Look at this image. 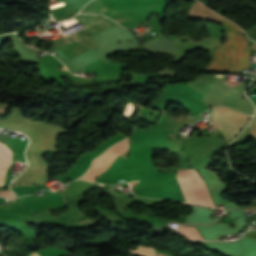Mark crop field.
Instances as JSON below:
<instances>
[{
    "label": "crop field",
    "mask_w": 256,
    "mask_h": 256,
    "mask_svg": "<svg viewBox=\"0 0 256 256\" xmlns=\"http://www.w3.org/2000/svg\"><path fill=\"white\" fill-rule=\"evenodd\" d=\"M250 50L245 37L229 30L227 41L213 52V61L206 71L234 72L246 68Z\"/></svg>",
    "instance_id": "crop-field-1"
},
{
    "label": "crop field",
    "mask_w": 256,
    "mask_h": 256,
    "mask_svg": "<svg viewBox=\"0 0 256 256\" xmlns=\"http://www.w3.org/2000/svg\"><path fill=\"white\" fill-rule=\"evenodd\" d=\"M248 119L244 114L218 107L213 114V125L226 134V139H232Z\"/></svg>",
    "instance_id": "crop-field-2"
},
{
    "label": "crop field",
    "mask_w": 256,
    "mask_h": 256,
    "mask_svg": "<svg viewBox=\"0 0 256 256\" xmlns=\"http://www.w3.org/2000/svg\"><path fill=\"white\" fill-rule=\"evenodd\" d=\"M127 146L128 138L110 147L105 153L93 161L92 167L79 179L94 181L100 173L108 169L118 155L123 158L126 157Z\"/></svg>",
    "instance_id": "crop-field-3"
},
{
    "label": "crop field",
    "mask_w": 256,
    "mask_h": 256,
    "mask_svg": "<svg viewBox=\"0 0 256 256\" xmlns=\"http://www.w3.org/2000/svg\"><path fill=\"white\" fill-rule=\"evenodd\" d=\"M242 245L243 254L241 250V246L239 242ZM233 242H207L215 247H218L220 249H223L229 253H232L236 256H256V239L248 238V237H241Z\"/></svg>",
    "instance_id": "crop-field-4"
},
{
    "label": "crop field",
    "mask_w": 256,
    "mask_h": 256,
    "mask_svg": "<svg viewBox=\"0 0 256 256\" xmlns=\"http://www.w3.org/2000/svg\"><path fill=\"white\" fill-rule=\"evenodd\" d=\"M14 156L9 149L0 143V186H3L6 170L13 163Z\"/></svg>",
    "instance_id": "crop-field-5"
},
{
    "label": "crop field",
    "mask_w": 256,
    "mask_h": 256,
    "mask_svg": "<svg viewBox=\"0 0 256 256\" xmlns=\"http://www.w3.org/2000/svg\"><path fill=\"white\" fill-rule=\"evenodd\" d=\"M178 231L190 240H192V239L203 240L202 236L195 228L187 227V226H180L178 228Z\"/></svg>",
    "instance_id": "crop-field-6"
},
{
    "label": "crop field",
    "mask_w": 256,
    "mask_h": 256,
    "mask_svg": "<svg viewBox=\"0 0 256 256\" xmlns=\"http://www.w3.org/2000/svg\"><path fill=\"white\" fill-rule=\"evenodd\" d=\"M132 253L140 256H156L155 250L150 247L139 246L137 250H130Z\"/></svg>",
    "instance_id": "crop-field-7"
},
{
    "label": "crop field",
    "mask_w": 256,
    "mask_h": 256,
    "mask_svg": "<svg viewBox=\"0 0 256 256\" xmlns=\"http://www.w3.org/2000/svg\"><path fill=\"white\" fill-rule=\"evenodd\" d=\"M247 128H248L249 132L251 133V135L256 140V114H255L254 119L250 122V124Z\"/></svg>",
    "instance_id": "crop-field-8"
},
{
    "label": "crop field",
    "mask_w": 256,
    "mask_h": 256,
    "mask_svg": "<svg viewBox=\"0 0 256 256\" xmlns=\"http://www.w3.org/2000/svg\"><path fill=\"white\" fill-rule=\"evenodd\" d=\"M221 23H223L225 26L230 27L231 29H234V30L244 34V32L240 28H238L234 23L226 20L225 18H222Z\"/></svg>",
    "instance_id": "crop-field-9"
},
{
    "label": "crop field",
    "mask_w": 256,
    "mask_h": 256,
    "mask_svg": "<svg viewBox=\"0 0 256 256\" xmlns=\"http://www.w3.org/2000/svg\"><path fill=\"white\" fill-rule=\"evenodd\" d=\"M0 196L6 197L8 199L14 198V194L10 191H0Z\"/></svg>",
    "instance_id": "crop-field-10"
},
{
    "label": "crop field",
    "mask_w": 256,
    "mask_h": 256,
    "mask_svg": "<svg viewBox=\"0 0 256 256\" xmlns=\"http://www.w3.org/2000/svg\"><path fill=\"white\" fill-rule=\"evenodd\" d=\"M248 34L251 39L256 41V26L250 28Z\"/></svg>",
    "instance_id": "crop-field-11"
},
{
    "label": "crop field",
    "mask_w": 256,
    "mask_h": 256,
    "mask_svg": "<svg viewBox=\"0 0 256 256\" xmlns=\"http://www.w3.org/2000/svg\"><path fill=\"white\" fill-rule=\"evenodd\" d=\"M29 256H40V255L35 252V253H33V254L29 255Z\"/></svg>",
    "instance_id": "crop-field-12"
},
{
    "label": "crop field",
    "mask_w": 256,
    "mask_h": 256,
    "mask_svg": "<svg viewBox=\"0 0 256 256\" xmlns=\"http://www.w3.org/2000/svg\"><path fill=\"white\" fill-rule=\"evenodd\" d=\"M158 256H165V255L158 254Z\"/></svg>",
    "instance_id": "crop-field-13"
}]
</instances>
